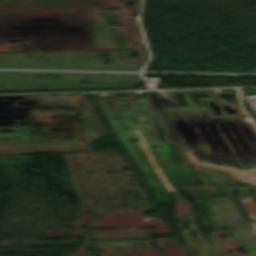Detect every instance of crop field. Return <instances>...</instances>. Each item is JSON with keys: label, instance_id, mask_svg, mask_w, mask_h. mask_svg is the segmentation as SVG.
<instances>
[{"label": "crop field", "instance_id": "ac0d7876", "mask_svg": "<svg viewBox=\"0 0 256 256\" xmlns=\"http://www.w3.org/2000/svg\"><path fill=\"white\" fill-rule=\"evenodd\" d=\"M254 230L256 231V222L252 223Z\"/></svg>", "mask_w": 256, "mask_h": 256}, {"label": "crop field", "instance_id": "8a807250", "mask_svg": "<svg viewBox=\"0 0 256 256\" xmlns=\"http://www.w3.org/2000/svg\"><path fill=\"white\" fill-rule=\"evenodd\" d=\"M235 231L245 246L246 250L248 251L249 255L256 256V237L250 227L247 225L235 228Z\"/></svg>", "mask_w": 256, "mask_h": 256}]
</instances>
